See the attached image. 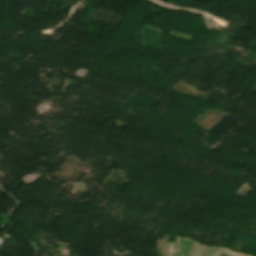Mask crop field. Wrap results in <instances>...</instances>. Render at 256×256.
<instances>
[{"label": "crop field", "mask_w": 256, "mask_h": 256, "mask_svg": "<svg viewBox=\"0 0 256 256\" xmlns=\"http://www.w3.org/2000/svg\"><path fill=\"white\" fill-rule=\"evenodd\" d=\"M196 244H197L196 242L193 244V246H192V248H191V251H190L189 256H191V255H192V252H193V250H194V248H195Z\"/></svg>", "instance_id": "ac0d7876"}, {"label": "crop field", "mask_w": 256, "mask_h": 256, "mask_svg": "<svg viewBox=\"0 0 256 256\" xmlns=\"http://www.w3.org/2000/svg\"><path fill=\"white\" fill-rule=\"evenodd\" d=\"M202 249H203V246L198 244L197 247L195 248L192 256H199V254L202 251Z\"/></svg>", "instance_id": "8a807250"}, {"label": "crop field", "mask_w": 256, "mask_h": 256, "mask_svg": "<svg viewBox=\"0 0 256 256\" xmlns=\"http://www.w3.org/2000/svg\"><path fill=\"white\" fill-rule=\"evenodd\" d=\"M225 256H227V255H225Z\"/></svg>", "instance_id": "34b2d1b8"}]
</instances>
